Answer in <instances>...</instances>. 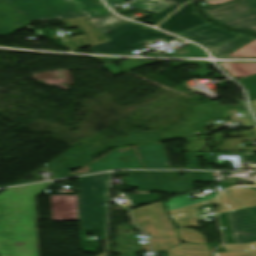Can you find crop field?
<instances>
[{"label":"crop field","instance_id":"19","mask_svg":"<svg viewBox=\"0 0 256 256\" xmlns=\"http://www.w3.org/2000/svg\"><path fill=\"white\" fill-rule=\"evenodd\" d=\"M220 65L235 79L256 73V63H220Z\"/></svg>","mask_w":256,"mask_h":256},{"label":"crop field","instance_id":"22","mask_svg":"<svg viewBox=\"0 0 256 256\" xmlns=\"http://www.w3.org/2000/svg\"><path fill=\"white\" fill-rule=\"evenodd\" d=\"M125 65L120 66L124 71L128 72L133 69L139 68L144 65L148 64H153V63H158L162 62L160 60H147V59H128L125 61H121ZM104 68H106L110 73H112L114 76L123 73L120 69H118L115 65L109 64V65H104Z\"/></svg>","mask_w":256,"mask_h":256},{"label":"crop field","instance_id":"12","mask_svg":"<svg viewBox=\"0 0 256 256\" xmlns=\"http://www.w3.org/2000/svg\"><path fill=\"white\" fill-rule=\"evenodd\" d=\"M104 157H107L108 161L100 162L97 160L88 165V168L92 173L116 168H143L142 163H140L137 158L136 152H112ZM91 168H93V170Z\"/></svg>","mask_w":256,"mask_h":256},{"label":"crop field","instance_id":"45","mask_svg":"<svg viewBox=\"0 0 256 256\" xmlns=\"http://www.w3.org/2000/svg\"><path fill=\"white\" fill-rule=\"evenodd\" d=\"M92 58L104 63L119 60V59H113V58H99V57H92Z\"/></svg>","mask_w":256,"mask_h":256},{"label":"crop field","instance_id":"21","mask_svg":"<svg viewBox=\"0 0 256 256\" xmlns=\"http://www.w3.org/2000/svg\"><path fill=\"white\" fill-rule=\"evenodd\" d=\"M254 39H256V36L247 35L242 38H239L234 41H231L226 44L215 47L213 49H210V51L216 57H223V56L243 47L244 45L248 44L249 42L253 41Z\"/></svg>","mask_w":256,"mask_h":256},{"label":"crop field","instance_id":"17","mask_svg":"<svg viewBox=\"0 0 256 256\" xmlns=\"http://www.w3.org/2000/svg\"><path fill=\"white\" fill-rule=\"evenodd\" d=\"M74 149L79 158L76 157L73 148L63 153L71 169L83 167L85 164L92 161L90 152L85 143L74 147Z\"/></svg>","mask_w":256,"mask_h":256},{"label":"crop field","instance_id":"51","mask_svg":"<svg viewBox=\"0 0 256 256\" xmlns=\"http://www.w3.org/2000/svg\"><path fill=\"white\" fill-rule=\"evenodd\" d=\"M1 1V0H0Z\"/></svg>","mask_w":256,"mask_h":256},{"label":"crop field","instance_id":"42","mask_svg":"<svg viewBox=\"0 0 256 256\" xmlns=\"http://www.w3.org/2000/svg\"><path fill=\"white\" fill-rule=\"evenodd\" d=\"M70 5H72L74 8L78 9L81 11V16H85L89 18L90 16L82 9L85 8L86 6L83 5L79 0H66ZM80 16V17H81Z\"/></svg>","mask_w":256,"mask_h":256},{"label":"crop field","instance_id":"34","mask_svg":"<svg viewBox=\"0 0 256 256\" xmlns=\"http://www.w3.org/2000/svg\"><path fill=\"white\" fill-rule=\"evenodd\" d=\"M227 252L248 251L251 256H256V241L246 244L223 245Z\"/></svg>","mask_w":256,"mask_h":256},{"label":"crop field","instance_id":"16","mask_svg":"<svg viewBox=\"0 0 256 256\" xmlns=\"http://www.w3.org/2000/svg\"><path fill=\"white\" fill-rule=\"evenodd\" d=\"M131 177L122 178L126 187H137V193L156 191L146 171H129ZM128 181L129 183H126Z\"/></svg>","mask_w":256,"mask_h":256},{"label":"crop field","instance_id":"31","mask_svg":"<svg viewBox=\"0 0 256 256\" xmlns=\"http://www.w3.org/2000/svg\"><path fill=\"white\" fill-rule=\"evenodd\" d=\"M226 108L228 117H233L239 124H243L244 126H253L241 105H228ZM236 113H241L242 119H238Z\"/></svg>","mask_w":256,"mask_h":256},{"label":"crop field","instance_id":"48","mask_svg":"<svg viewBox=\"0 0 256 256\" xmlns=\"http://www.w3.org/2000/svg\"><path fill=\"white\" fill-rule=\"evenodd\" d=\"M256 217V207L248 209Z\"/></svg>","mask_w":256,"mask_h":256},{"label":"crop field","instance_id":"29","mask_svg":"<svg viewBox=\"0 0 256 256\" xmlns=\"http://www.w3.org/2000/svg\"><path fill=\"white\" fill-rule=\"evenodd\" d=\"M244 208V206L229 198L226 192L218 197V214Z\"/></svg>","mask_w":256,"mask_h":256},{"label":"crop field","instance_id":"38","mask_svg":"<svg viewBox=\"0 0 256 256\" xmlns=\"http://www.w3.org/2000/svg\"><path fill=\"white\" fill-rule=\"evenodd\" d=\"M172 183L176 193L182 192V191H189L192 189L189 179L175 180V181H172Z\"/></svg>","mask_w":256,"mask_h":256},{"label":"crop field","instance_id":"18","mask_svg":"<svg viewBox=\"0 0 256 256\" xmlns=\"http://www.w3.org/2000/svg\"><path fill=\"white\" fill-rule=\"evenodd\" d=\"M57 77H62L61 79L55 80L53 78H57ZM31 78L37 79L39 81H46L45 83H48L50 85L62 88L67 90L68 87L65 86H61L58 84H62V83H66L67 86L69 85H73V82L70 78V75L68 73V70H64V71H50V72H46V73H40V74H36L34 76H32Z\"/></svg>","mask_w":256,"mask_h":256},{"label":"crop field","instance_id":"11","mask_svg":"<svg viewBox=\"0 0 256 256\" xmlns=\"http://www.w3.org/2000/svg\"><path fill=\"white\" fill-rule=\"evenodd\" d=\"M200 106H202V108L198 106L195 107L193 116L192 113H186L184 122L181 123L188 134L196 131L197 127L205 123L210 118L227 117L225 106L221 107L220 103L218 102H210ZM192 124H196L197 126L194 127ZM188 128L190 129L189 131Z\"/></svg>","mask_w":256,"mask_h":256},{"label":"crop field","instance_id":"41","mask_svg":"<svg viewBox=\"0 0 256 256\" xmlns=\"http://www.w3.org/2000/svg\"><path fill=\"white\" fill-rule=\"evenodd\" d=\"M125 142H130L126 144H120V143H125ZM133 144L132 140L130 137H125V138H113L109 142V147H114V146H120V145H129Z\"/></svg>","mask_w":256,"mask_h":256},{"label":"crop field","instance_id":"33","mask_svg":"<svg viewBox=\"0 0 256 256\" xmlns=\"http://www.w3.org/2000/svg\"><path fill=\"white\" fill-rule=\"evenodd\" d=\"M56 178L70 176V173L65 166L62 157H58L52 162L48 163Z\"/></svg>","mask_w":256,"mask_h":256},{"label":"crop field","instance_id":"46","mask_svg":"<svg viewBox=\"0 0 256 256\" xmlns=\"http://www.w3.org/2000/svg\"><path fill=\"white\" fill-rule=\"evenodd\" d=\"M122 1H126V0H106V2L108 4H116V3H120ZM152 1H157V0H152Z\"/></svg>","mask_w":256,"mask_h":256},{"label":"crop field","instance_id":"15","mask_svg":"<svg viewBox=\"0 0 256 256\" xmlns=\"http://www.w3.org/2000/svg\"><path fill=\"white\" fill-rule=\"evenodd\" d=\"M136 148L147 169H169L162 144L154 143Z\"/></svg>","mask_w":256,"mask_h":256},{"label":"crop field","instance_id":"32","mask_svg":"<svg viewBox=\"0 0 256 256\" xmlns=\"http://www.w3.org/2000/svg\"><path fill=\"white\" fill-rule=\"evenodd\" d=\"M126 196L133 203L132 209L159 200L157 194H130Z\"/></svg>","mask_w":256,"mask_h":256},{"label":"crop field","instance_id":"3","mask_svg":"<svg viewBox=\"0 0 256 256\" xmlns=\"http://www.w3.org/2000/svg\"><path fill=\"white\" fill-rule=\"evenodd\" d=\"M65 0H7L0 2V35L11 34L34 20L79 17Z\"/></svg>","mask_w":256,"mask_h":256},{"label":"crop field","instance_id":"2","mask_svg":"<svg viewBox=\"0 0 256 256\" xmlns=\"http://www.w3.org/2000/svg\"><path fill=\"white\" fill-rule=\"evenodd\" d=\"M132 211L137 225L154 237L149 239L154 251L166 250L168 256H211L207 245L180 243L160 201Z\"/></svg>","mask_w":256,"mask_h":256},{"label":"crop field","instance_id":"35","mask_svg":"<svg viewBox=\"0 0 256 256\" xmlns=\"http://www.w3.org/2000/svg\"><path fill=\"white\" fill-rule=\"evenodd\" d=\"M226 57H256V40Z\"/></svg>","mask_w":256,"mask_h":256},{"label":"crop field","instance_id":"14","mask_svg":"<svg viewBox=\"0 0 256 256\" xmlns=\"http://www.w3.org/2000/svg\"><path fill=\"white\" fill-rule=\"evenodd\" d=\"M80 1L88 7L84 10L93 17L88 20L100 33L125 21L109 12L104 5L94 6L90 0Z\"/></svg>","mask_w":256,"mask_h":256},{"label":"crop field","instance_id":"30","mask_svg":"<svg viewBox=\"0 0 256 256\" xmlns=\"http://www.w3.org/2000/svg\"><path fill=\"white\" fill-rule=\"evenodd\" d=\"M130 2L135 5L136 9L147 10L152 12H159L164 8L168 7V5L164 3L162 0H159L157 2L146 0H130Z\"/></svg>","mask_w":256,"mask_h":256},{"label":"crop field","instance_id":"20","mask_svg":"<svg viewBox=\"0 0 256 256\" xmlns=\"http://www.w3.org/2000/svg\"><path fill=\"white\" fill-rule=\"evenodd\" d=\"M227 194L246 208L256 206V191L250 187H238L227 191Z\"/></svg>","mask_w":256,"mask_h":256},{"label":"crop field","instance_id":"37","mask_svg":"<svg viewBox=\"0 0 256 256\" xmlns=\"http://www.w3.org/2000/svg\"><path fill=\"white\" fill-rule=\"evenodd\" d=\"M177 51L180 57H206V54L198 47L189 50L179 49Z\"/></svg>","mask_w":256,"mask_h":256},{"label":"crop field","instance_id":"8","mask_svg":"<svg viewBox=\"0 0 256 256\" xmlns=\"http://www.w3.org/2000/svg\"><path fill=\"white\" fill-rule=\"evenodd\" d=\"M227 216L236 243L256 240V218L247 209L229 212Z\"/></svg>","mask_w":256,"mask_h":256},{"label":"crop field","instance_id":"28","mask_svg":"<svg viewBox=\"0 0 256 256\" xmlns=\"http://www.w3.org/2000/svg\"><path fill=\"white\" fill-rule=\"evenodd\" d=\"M163 1L166 2L169 5V7L159 12L154 17L148 19L144 23H148L152 25L157 24L187 0H163Z\"/></svg>","mask_w":256,"mask_h":256},{"label":"crop field","instance_id":"5","mask_svg":"<svg viewBox=\"0 0 256 256\" xmlns=\"http://www.w3.org/2000/svg\"><path fill=\"white\" fill-rule=\"evenodd\" d=\"M80 228H104L108 173L79 178Z\"/></svg>","mask_w":256,"mask_h":256},{"label":"crop field","instance_id":"23","mask_svg":"<svg viewBox=\"0 0 256 256\" xmlns=\"http://www.w3.org/2000/svg\"><path fill=\"white\" fill-rule=\"evenodd\" d=\"M156 190L162 192H175L166 172L147 171Z\"/></svg>","mask_w":256,"mask_h":256},{"label":"crop field","instance_id":"50","mask_svg":"<svg viewBox=\"0 0 256 256\" xmlns=\"http://www.w3.org/2000/svg\"><path fill=\"white\" fill-rule=\"evenodd\" d=\"M97 256H104V254H97Z\"/></svg>","mask_w":256,"mask_h":256},{"label":"crop field","instance_id":"24","mask_svg":"<svg viewBox=\"0 0 256 256\" xmlns=\"http://www.w3.org/2000/svg\"><path fill=\"white\" fill-rule=\"evenodd\" d=\"M253 140H256V136L224 139L218 151L256 150V147H242L241 141H253ZM233 149H236V150H233Z\"/></svg>","mask_w":256,"mask_h":256},{"label":"crop field","instance_id":"26","mask_svg":"<svg viewBox=\"0 0 256 256\" xmlns=\"http://www.w3.org/2000/svg\"><path fill=\"white\" fill-rule=\"evenodd\" d=\"M217 194H218V192L210 194V195H207L206 197L201 198V199H192V200H189L186 197V196L191 195V194H186L184 196L172 199V200H170V202H168V203H166L164 205L169 207V208H167L168 211H169V210L180 208V207H183V206H186V205H190V204H193V203L204 201V200H207V199H210V198H214V197H216Z\"/></svg>","mask_w":256,"mask_h":256},{"label":"crop field","instance_id":"47","mask_svg":"<svg viewBox=\"0 0 256 256\" xmlns=\"http://www.w3.org/2000/svg\"><path fill=\"white\" fill-rule=\"evenodd\" d=\"M250 102L252 104V108H253L254 112L256 113V100H252Z\"/></svg>","mask_w":256,"mask_h":256},{"label":"crop field","instance_id":"4","mask_svg":"<svg viewBox=\"0 0 256 256\" xmlns=\"http://www.w3.org/2000/svg\"><path fill=\"white\" fill-rule=\"evenodd\" d=\"M107 42L92 46L94 53L133 55L132 50L142 49V42L163 38L164 41L178 40L147 26L126 21L102 33Z\"/></svg>","mask_w":256,"mask_h":256},{"label":"crop field","instance_id":"10","mask_svg":"<svg viewBox=\"0 0 256 256\" xmlns=\"http://www.w3.org/2000/svg\"><path fill=\"white\" fill-rule=\"evenodd\" d=\"M68 28L78 27L84 36L67 38L71 50L105 42L103 36L89 23L86 18L63 20Z\"/></svg>","mask_w":256,"mask_h":256},{"label":"crop field","instance_id":"44","mask_svg":"<svg viewBox=\"0 0 256 256\" xmlns=\"http://www.w3.org/2000/svg\"><path fill=\"white\" fill-rule=\"evenodd\" d=\"M167 174H168L170 180L185 179V178H179L178 173L176 171H167ZM186 178H189V175L187 173H186Z\"/></svg>","mask_w":256,"mask_h":256},{"label":"crop field","instance_id":"1","mask_svg":"<svg viewBox=\"0 0 256 256\" xmlns=\"http://www.w3.org/2000/svg\"><path fill=\"white\" fill-rule=\"evenodd\" d=\"M46 184L0 193V256H37L34 196Z\"/></svg>","mask_w":256,"mask_h":256},{"label":"crop field","instance_id":"13","mask_svg":"<svg viewBox=\"0 0 256 256\" xmlns=\"http://www.w3.org/2000/svg\"><path fill=\"white\" fill-rule=\"evenodd\" d=\"M52 221H77V196H50Z\"/></svg>","mask_w":256,"mask_h":256},{"label":"crop field","instance_id":"43","mask_svg":"<svg viewBox=\"0 0 256 256\" xmlns=\"http://www.w3.org/2000/svg\"><path fill=\"white\" fill-rule=\"evenodd\" d=\"M216 256H250L248 252L238 253H215Z\"/></svg>","mask_w":256,"mask_h":256},{"label":"crop field","instance_id":"39","mask_svg":"<svg viewBox=\"0 0 256 256\" xmlns=\"http://www.w3.org/2000/svg\"><path fill=\"white\" fill-rule=\"evenodd\" d=\"M193 181H215L211 172H191Z\"/></svg>","mask_w":256,"mask_h":256},{"label":"crop field","instance_id":"36","mask_svg":"<svg viewBox=\"0 0 256 256\" xmlns=\"http://www.w3.org/2000/svg\"><path fill=\"white\" fill-rule=\"evenodd\" d=\"M249 92L250 100L256 99V75L238 80Z\"/></svg>","mask_w":256,"mask_h":256},{"label":"crop field","instance_id":"40","mask_svg":"<svg viewBox=\"0 0 256 256\" xmlns=\"http://www.w3.org/2000/svg\"><path fill=\"white\" fill-rule=\"evenodd\" d=\"M181 128H179L178 126L175 128V132L172 130L168 133H163L162 136L165 138L164 141L166 140H172L171 138H168V136L172 137L173 139H178V138H183L184 135H187V132L184 130V128L181 126V124L179 125ZM183 132H185V134H183Z\"/></svg>","mask_w":256,"mask_h":256},{"label":"crop field","instance_id":"7","mask_svg":"<svg viewBox=\"0 0 256 256\" xmlns=\"http://www.w3.org/2000/svg\"><path fill=\"white\" fill-rule=\"evenodd\" d=\"M177 34L191 38L208 48H212L216 45L245 35L243 33L224 29L213 23H208Z\"/></svg>","mask_w":256,"mask_h":256},{"label":"crop field","instance_id":"9","mask_svg":"<svg viewBox=\"0 0 256 256\" xmlns=\"http://www.w3.org/2000/svg\"><path fill=\"white\" fill-rule=\"evenodd\" d=\"M206 23L208 21L197 13L193 3H188L165 20L159 28L177 33Z\"/></svg>","mask_w":256,"mask_h":256},{"label":"crop field","instance_id":"6","mask_svg":"<svg viewBox=\"0 0 256 256\" xmlns=\"http://www.w3.org/2000/svg\"><path fill=\"white\" fill-rule=\"evenodd\" d=\"M206 15L229 27L256 30V1L234 0L204 10Z\"/></svg>","mask_w":256,"mask_h":256},{"label":"crop field","instance_id":"49","mask_svg":"<svg viewBox=\"0 0 256 256\" xmlns=\"http://www.w3.org/2000/svg\"><path fill=\"white\" fill-rule=\"evenodd\" d=\"M234 185H235V183L232 182V183H228V184H225V185H221V187L224 189V188H226V187L234 186Z\"/></svg>","mask_w":256,"mask_h":256},{"label":"crop field","instance_id":"25","mask_svg":"<svg viewBox=\"0 0 256 256\" xmlns=\"http://www.w3.org/2000/svg\"><path fill=\"white\" fill-rule=\"evenodd\" d=\"M214 201H215V198L204 201V202H200V203H197V204H193V205H190V206H186V207H183V208H180V209H176V210H173V211H169V214L172 216V218L174 220L189 217V216H193V215H197V214H200V213H197L198 212V206L206 205V204H212V203H214ZM180 226L183 227V226H186V225L183 224V225H180Z\"/></svg>","mask_w":256,"mask_h":256},{"label":"crop field","instance_id":"27","mask_svg":"<svg viewBox=\"0 0 256 256\" xmlns=\"http://www.w3.org/2000/svg\"><path fill=\"white\" fill-rule=\"evenodd\" d=\"M135 144L163 141L159 132H129Z\"/></svg>","mask_w":256,"mask_h":256}]
</instances>
